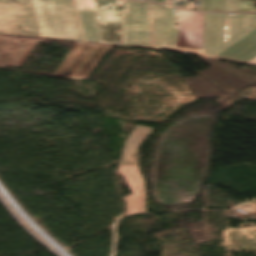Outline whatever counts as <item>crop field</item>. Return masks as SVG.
I'll list each match as a JSON object with an SVG mask.
<instances>
[{"label": "crop field", "instance_id": "8a807250", "mask_svg": "<svg viewBox=\"0 0 256 256\" xmlns=\"http://www.w3.org/2000/svg\"><path fill=\"white\" fill-rule=\"evenodd\" d=\"M39 36L82 41L72 0H31Z\"/></svg>", "mask_w": 256, "mask_h": 256}, {"label": "crop field", "instance_id": "412701ff", "mask_svg": "<svg viewBox=\"0 0 256 256\" xmlns=\"http://www.w3.org/2000/svg\"><path fill=\"white\" fill-rule=\"evenodd\" d=\"M211 58L256 66V27Z\"/></svg>", "mask_w": 256, "mask_h": 256}, {"label": "crop field", "instance_id": "ac0d7876", "mask_svg": "<svg viewBox=\"0 0 256 256\" xmlns=\"http://www.w3.org/2000/svg\"><path fill=\"white\" fill-rule=\"evenodd\" d=\"M152 128L137 125L125 140L117 174L123 176L131 195L126 196L128 214L145 212L143 180L137 169V147Z\"/></svg>", "mask_w": 256, "mask_h": 256}, {"label": "crop field", "instance_id": "34b2d1b8", "mask_svg": "<svg viewBox=\"0 0 256 256\" xmlns=\"http://www.w3.org/2000/svg\"><path fill=\"white\" fill-rule=\"evenodd\" d=\"M110 47L78 43L53 76L72 80L87 79Z\"/></svg>", "mask_w": 256, "mask_h": 256}]
</instances>
